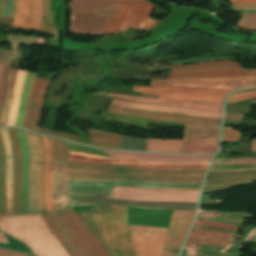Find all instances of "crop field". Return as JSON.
I'll use <instances>...</instances> for the list:
<instances>
[{"label": "crop field", "mask_w": 256, "mask_h": 256, "mask_svg": "<svg viewBox=\"0 0 256 256\" xmlns=\"http://www.w3.org/2000/svg\"><path fill=\"white\" fill-rule=\"evenodd\" d=\"M120 0H74L70 32L103 34ZM154 6L143 0H121L104 34L119 33L127 26L151 29L158 22L148 18Z\"/></svg>", "instance_id": "8a807250"}, {"label": "crop field", "mask_w": 256, "mask_h": 256, "mask_svg": "<svg viewBox=\"0 0 256 256\" xmlns=\"http://www.w3.org/2000/svg\"><path fill=\"white\" fill-rule=\"evenodd\" d=\"M0 229L24 241L39 256H69L40 214L1 216Z\"/></svg>", "instance_id": "ac0d7876"}, {"label": "crop field", "mask_w": 256, "mask_h": 256, "mask_svg": "<svg viewBox=\"0 0 256 256\" xmlns=\"http://www.w3.org/2000/svg\"><path fill=\"white\" fill-rule=\"evenodd\" d=\"M109 254L134 256L127 223L128 207L88 206Z\"/></svg>", "instance_id": "34b2d1b8"}, {"label": "crop field", "mask_w": 256, "mask_h": 256, "mask_svg": "<svg viewBox=\"0 0 256 256\" xmlns=\"http://www.w3.org/2000/svg\"><path fill=\"white\" fill-rule=\"evenodd\" d=\"M49 0H16L12 28H22L49 32L51 12Z\"/></svg>", "instance_id": "412701ff"}, {"label": "crop field", "mask_w": 256, "mask_h": 256, "mask_svg": "<svg viewBox=\"0 0 256 256\" xmlns=\"http://www.w3.org/2000/svg\"><path fill=\"white\" fill-rule=\"evenodd\" d=\"M111 198L142 201H182L196 203L198 191L142 189L134 187H114Z\"/></svg>", "instance_id": "f4fd0767"}, {"label": "crop field", "mask_w": 256, "mask_h": 256, "mask_svg": "<svg viewBox=\"0 0 256 256\" xmlns=\"http://www.w3.org/2000/svg\"><path fill=\"white\" fill-rule=\"evenodd\" d=\"M112 194H68L70 207L93 204H115L149 209H196L197 204L181 202H141L109 199Z\"/></svg>", "instance_id": "dd49c442"}, {"label": "crop field", "mask_w": 256, "mask_h": 256, "mask_svg": "<svg viewBox=\"0 0 256 256\" xmlns=\"http://www.w3.org/2000/svg\"><path fill=\"white\" fill-rule=\"evenodd\" d=\"M133 90L155 94L160 98L222 102L233 90L190 87H133Z\"/></svg>", "instance_id": "e52e79f7"}, {"label": "crop field", "mask_w": 256, "mask_h": 256, "mask_svg": "<svg viewBox=\"0 0 256 256\" xmlns=\"http://www.w3.org/2000/svg\"><path fill=\"white\" fill-rule=\"evenodd\" d=\"M56 213L88 256H109L104 246L81 222L73 208L57 210Z\"/></svg>", "instance_id": "d8731c3e"}, {"label": "crop field", "mask_w": 256, "mask_h": 256, "mask_svg": "<svg viewBox=\"0 0 256 256\" xmlns=\"http://www.w3.org/2000/svg\"><path fill=\"white\" fill-rule=\"evenodd\" d=\"M135 256H161L168 229L129 225Z\"/></svg>", "instance_id": "5a996713"}, {"label": "crop field", "mask_w": 256, "mask_h": 256, "mask_svg": "<svg viewBox=\"0 0 256 256\" xmlns=\"http://www.w3.org/2000/svg\"><path fill=\"white\" fill-rule=\"evenodd\" d=\"M220 127L186 124L183 140L218 139ZM218 140L183 141L181 153H212Z\"/></svg>", "instance_id": "3316defc"}, {"label": "crop field", "mask_w": 256, "mask_h": 256, "mask_svg": "<svg viewBox=\"0 0 256 256\" xmlns=\"http://www.w3.org/2000/svg\"><path fill=\"white\" fill-rule=\"evenodd\" d=\"M205 170H161L135 168L113 165H92L67 162V172H98V173H144L174 176H203Z\"/></svg>", "instance_id": "28ad6ade"}, {"label": "crop field", "mask_w": 256, "mask_h": 256, "mask_svg": "<svg viewBox=\"0 0 256 256\" xmlns=\"http://www.w3.org/2000/svg\"><path fill=\"white\" fill-rule=\"evenodd\" d=\"M256 85L254 78H176L151 80V86H191L209 88L240 89Z\"/></svg>", "instance_id": "d1516ede"}, {"label": "crop field", "mask_w": 256, "mask_h": 256, "mask_svg": "<svg viewBox=\"0 0 256 256\" xmlns=\"http://www.w3.org/2000/svg\"><path fill=\"white\" fill-rule=\"evenodd\" d=\"M203 177H167L140 174H79L67 173V180L109 181L127 180L157 183H201Z\"/></svg>", "instance_id": "22f410ed"}, {"label": "crop field", "mask_w": 256, "mask_h": 256, "mask_svg": "<svg viewBox=\"0 0 256 256\" xmlns=\"http://www.w3.org/2000/svg\"><path fill=\"white\" fill-rule=\"evenodd\" d=\"M68 161L93 163V164H114L136 167H151L161 169H205L207 164H188V163H158V162H142L124 159H112L104 157H96L86 154H77L69 152Z\"/></svg>", "instance_id": "cbeb9de0"}, {"label": "crop field", "mask_w": 256, "mask_h": 256, "mask_svg": "<svg viewBox=\"0 0 256 256\" xmlns=\"http://www.w3.org/2000/svg\"><path fill=\"white\" fill-rule=\"evenodd\" d=\"M196 211H173L163 256H178L182 240Z\"/></svg>", "instance_id": "5142ce71"}, {"label": "crop field", "mask_w": 256, "mask_h": 256, "mask_svg": "<svg viewBox=\"0 0 256 256\" xmlns=\"http://www.w3.org/2000/svg\"><path fill=\"white\" fill-rule=\"evenodd\" d=\"M49 82L50 80H47V79H41L37 77L34 79L23 126L38 125L43 100H44Z\"/></svg>", "instance_id": "d9b57169"}, {"label": "crop field", "mask_w": 256, "mask_h": 256, "mask_svg": "<svg viewBox=\"0 0 256 256\" xmlns=\"http://www.w3.org/2000/svg\"><path fill=\"white\" fill-rule=\"evenodd\" d=\"M102 151L116 158L158 161V162L208 163L211 158V155L163 156V155L138 153V152L105 151V150H102Z\"/></svg>", "instance_id": "733c2abd"}, {"label": "crop field", "mask_w": 256, "mask_h": 256, "mask_svg": "<svg viewBox=\"0 0 256 256\" xmlns=\"http://www.w3.org/2000/svg\"><path fill=\"white\" fill-rule=\"evenodd\" d=\"M108 110L110 113L118 115H129L134 117L146 118V119H155V120H165V121H178V122H190V123H199V124H214L218 125L221 120L214 119H205V118H196V117H187V116H178L154 112H144L136 111L125 108H120L116 106L109 105Z\"/></svg>", "instance_id": "4a817a6b"}, {"label": "crop field", "mask_w": 256, "mask_h": 256, "mask_svg": "<svg viewBox=\"0 0 256 256\" xmlns=\"http://www.w3.org/2000/svg\"><path fill=\"white\" fill-rule=\"evenodd\" d=\"M107 96L139 102V103H145V104L222 111V103H216V102H194V101H182V100L151 99V98H142V97H136V96L119 95V94H107Z\"/></svg>", "instance_id": "bc2a9ffb"}, {"label": "crop field", "mask_w": 256, "mask_h": 256, "mask_svg": "<svg viewBox=\"0 0 256 256\" xmlns=\"http://www.w3.org/2000/svg\"><path fill=\"white\" fill-rule=\"evenodd\" d=\"M51 193L54 210L69 207L66 189V162L52 163Z\"/></svg>", "instance_id": "214f88e0"}, {"label": "crop field", "mask_w": 256, "mask_h": 256, "mask_svg": "<svg viewBox=\"0 0 256 256\" xmlns=\"http://www.w3.org/2000/svg\"><path fill=\"white\" fill-rule=\"evenodd\" d=\"M111 104L132 108V109L145 110V111L163 112V113L187 115V116L210 117V118H218V119H220L221 113H222V112H215V111L142 105V104H135V103L125 102V101H120L115 99L112 100Z\"/></svg>", "instance_id": "92a150f3"}, {"label": "crop field", "mask_w": 256, "mask_h": 256, "mask_svg": "<svg viewBox=\"0 0 256 256\" xmlns=\"http://www.w3.org/2000/svg\"><path fill=\"white\" fill-rule=\"evenodd\" d=\"M1 135L5 147L6 155V186H13V152L12 144L8 129H1ZM7 193V212H1V215L14 214V203H13V187H6Z\"/></svg>", "instance_id": "dafd665d"}, {"label": "crop field", "mask_w": 256, "mask_h": 256, "mask_svg": "<svg viewBox=\"0 0 256 256\" xmlns=\"http://www.w3.org/2000/svg\"><path fill=\"white\" fill-rule=\"evenodd\" d=\"M14 151V192H15V215L23 214L21 201V157L15 128H8Z\"/></svg>", "instance_id": "00972430"}, {"label": "crop field", "mask_w": 256, "mask_h": 256, "mask_svg": "<svg viewBox=\"0 0 256 256\" xmlns=\"http://www.w3.org/2000/svg\"><path fill=\"white\" fill-rule=\"evenodd\" d=\"M231 236L232 234L218 231L192 229L186 242L211 244L218 247H225L228 245Z\"/></svg>", "instance_id": "a9b5d70f"}, {"label": "crop field", "mask_w": 256, "mask_h": 256, "mask_svg": "<svg viewBox=\"0 0 256 256\" xmlns=\"http://www.w3.org/2000/svg\"><path fill=\"white\" fill-rule=\"evenodd\" d=\"M25 136L29 148V200L31 213H38L36 203V148L32 139V135L26 131Z\"/></svg>", "instance_id": "4177f3b9"}, {"label": "crop field", "mask_w": 256, "mask_h": 256, "mask_svg": "<svg viewBox=\"0 0 256 256\" xmlns=\"http://www.w3.org/2000/svg\"><path fill=\"white\" fill-rule=\"evenodd\" d=\"M17 135L21 147L22 156V201H23V211L24 214L30 213L29 201H28V148L24 136V132L21 129H17Z\"/></svg>", "instance_id": "730fd06b"}, {"label": "crop field", "mask_w": 256, "mask_h": 256, "mask_svg": "<svg viewBox=\"0 0 256 256\" xmlns=\"http://www.w3.org/2000/svg\"><path fill=\"white\" fill-rule=\"evenodd\" d=\"M37 148V203L39 213L46 212L44 204V148L39 136L32 134Z\"/></svg>", "instance_id": "eef30255"}, {"label": "crop field", "mask_w": 256, "mask_h": 256, "mask_svg": "<svg viewBox=\"0 0 256 256\" xmlns=\"http://www.w3.org/2000/svg\"><path fill=\"white\" fill-rule=\"evenodd\" d=\"M256 71L243 70H207L198 72L169 73L168 78L174 77H253Z\"/></svg>", "instance_id": "ae1a2a85"}, {"label": "crop field", "mask_w": 256, "mask_h": 256, "mask_svg": "<svg viewBox=\"0 0 256 256\" xmlns=\"http://www.w3.org/2000/svg\"><path fill=\"white\" fill-rule=\"evenodd\" d=\"M45 148V204L46 210L52 211L51 194H50V177H51V147L48 137L41 136Z\"/></svg>", "instance_id": "d3111659"}, {"label": "crop field", "mask_w": 256, "mask_h": 256, "mask_svg": "<svg viewBox=\"0 0 256 256\" xmlns=\"http://www.w3.org/2000/svg\"><path fill=\"white\" fill-rule=\"evenodd\" d=\"M181 140L147 139L146 151L180 153Z\"/></svg>", "instance_id": "750c4746"}, {"label": "crop field", "mask_w": 256, "mask_h": 256, "mask_svg": "<svg viewBox=\"0 0 256 256\" xmlns=\"http://www.w3.org/2000/svg\"><path fill=\"white\" fill-rule=\"evenodd\" d=\"M172 71L200 70V69H218V68H242L238 63L233 61L225 62H204L191 65H180L170 67Z\"/></svg>", "instance_id": "bd1437ed"}, {"label": "crop field", "mask_w": 256, "mask_h": 256, "mask_svg": "<svg viewBox=\"0 0 256 256\" xmlns=\"http://www.w3.org/2000/svg\"><path fill=\"white\" fill-rule=\"evenodd\" d=\"M16 74H17L16 70L10 69L7 86H6V91H5L4 104H3V107L1 109V114H0V127L5 126L7 123V118H8V113H9V109H10Z\"/></svg>", "instance_id": "1d83c4d3"}, {"label": "crop field", "mask_w": 256, "mask_h": 256, "mask_svg": "<svg viewBox=\"0 0 256 256\" xmlns=\"http://www.w3.org/2000/svg\"><path fill=\"white\" fill-rule=\"evenodd\" d=\"M34 77H35L34 73L27 72L26 78L24 80L21 98H20V102H19V107H18V111H17L16 123H15V125L20 126V127L22 125L25 109H26V106L28 103L29 92H30L31 84H32Z\"/></svg>", "instance_id": "120bbe31"}, {"label": "crop field", "mask_w": 256, "mask_h": 256, "mask_svg": "<svg viewBox=\"0 0 256 256\" xmlns=\"http://www.w3.org/2000/svg\"><path fill=\"white\" fill-rule=\"evenodd\" d=\"M25 74H26V72H24V71H20V70L18 71L7 125H14L16 111H17V107H18V102H19L21 88H22Z\"/></svg>", "instance_id": "d32e631a"}, {"label": "crop field", "mask_w": 256, "mask_h": 256, "mask_svg": "<svg viewBox=\"0 0 256 256\" xmlns=\"http://www.w3.org/2000/svg\"><path fill=\"white\" fill-rule=\"evenodd\" d=\"M87 133H88L89 144H92V145H94L95 142L119 145L122 137L116 134H111V133H106L101 131H93V130H87Z\"/></svg>", "instance_id": "5866460e"}, {"label": "crop field", "mask_w": 256, "mask_h": 256, "mask_svg": "<svg viewBox=\"0 0 256 256\" xmlns=\"http://www.w3.org/2000/svg\"><path fill=\"white\" fill-rule=\"evenodd\" d=\"M41 215H42L46 225L48 226V228L52 231V233L56 236V238L64 246V248L67 250V252L70 254V256H78L76 251L71 247V245L68 243V241L65 239V237L62 235V233L59 231V229L56 227V225L52 221V219L50 217V213H44Z\"/></svg>", "instance_id": "028f5c9d"}, {"label": "crop field", "mask_w": 256, "mask_h": 256, "mask_svg": "<svg viewBox=\"0 0 256 256\" xmlns=\"http://www.w3.org/2000/svg\"><path fill=\"white\" fill-rule=\"evenodd\" d=\"M6 211L5 202V157L3 142L0 136V212Z\"/></svg>", "instance_id": "e1f06a70"}, {"label": "crop field", "mask_w": 256, "mask_h": 256, "mask_svg": "<svg viewBox=\"0 0 256 256\" xmlns=\"http://www.w3.org/2000/svg\"><path fill=\"white\" fill-rule=\"evenodd\" d=\"M52 147V162L67 161V142L50 138Z\"/></svg>", "instance_id": "0bd39190"}, {"label": "crop field", "mask_w": 256, "mask_h": 256, "mask_svg": "<svg viewBox=\"0 0 256 256\" xmlns=\"http://www.w3.org/2000/svg\"><path fill=\"white\" fill-rule=\"evenodd\" d=\"M51 216L53 218V221L58 226L60 231L63 233V235L66 237V239L69 241V243L72 245V247L77 251L79 256H86L80 245L77 243V241L74 239V237L71 235V233L67 230V228L62 224V222L57 217L55 211L50 212Z\"/></svg>", "instance_id": "b80d0937"}, {"label": "crop field", "mask_w": 256, "mask_h": 256, "mask_svg": "<svg viewBox=\"0 0 256 256\" xmlns=\"http://www.w3.org/2000/svg\"><path fill=\"white\" fill-rule=\"evenodd\" d=\"M239 181L256 182V176H234L230 178L208 179L206 180L205 187L220 186V185H224L232 182H239Z\"/></svg>", "instance_id": "c035e120"}, {"label": "crop field", "mask_w": 256, "mask_h": 256, "mask_svg": "<svg viewBox=\"0 0 256 256\" xmlns=\"http://www.w3.org/2000/svg\"><path fill=\"white\" fill-rule=\"evenodd\" d=\"M237 27L256 31V14L242 13V18L237 24Z\"/></svg>", "instance_id": "c21b1889"}, {"label": "crop field", "mask_w": 256, "mask_h": 256, "mask_svg": "<svg viewBox=\"0 0 256 256\" xmlns=\"http://www.w3.org/2000/svg\"><path fill=\"white\" fill-rule=\"evenodd\" d=\"M228 159H215L214 163L224 162ZM230 164H256V157L253 158H232L224 163L212 164L216 165H230Z\"/></svg>", "instance_id": "03da06ac"}, {"label": "crop field", "mask_w": 256, "mask_h": 256, "mask_svg": "<svg viewBox=\"0 0 256 256\" xmlns=\"http://www.w3.org/2000/svg\"><path fill=\"white\" fill-rule=\"evenodd\" d=\"M27 129H30V130H33L36 132H40V133H45V134L61 137V138H65V139H69V140H73L78 143H82L80 137H77V136H73V135H69V134H65V133H61V132L50 131V130L41 129V128H27Z\"/></svg>", "instance_id": "b54c1fbb"}, {"label": "crop field", "mask_w": 256, "mask_h": 256, "mask_svg": "<svg viewBox=\"0 0 256 256\" xmlns=\"http://www.w3.org/2000/svg\"><path fill=\"white\" fill-rule=\"evenodd\" d=\"M10 62H11V60L5 61L3 71H2L1 82H0V109L3 104L4 91H5V85H6V81H7Z\"/></svg>", "instance_id": "5d738f31"}, {"label": "crop field", "mask_w": 256, "mask_h": 256, "mask_svg": "<svg viewBox=\"0 0 256 256\" xmlns=\"http://www.w3.org/2000/svg\"><path fill=\"white\" fill-rule=\"evenodd\" d=\"M15 0H2V11H1V0H0V11L1 17H13Z\"/></svg>", "instance_id": "d23c7cc5"}, {"label": "crop field", "mask_w": 256, "mask_h": 256, "mask_svg": "<svg viewBox=\"0 0 256 256\" xmlns=\"http://www.w3.org/2000/svg\"><path fill=\"white\" fill-rule=\"evenodd\" d=\"M256 169V165L211 167L209 172Z\"/></svg>", "instance_id": "425ffa30"}, {"label": "crop field", "mask_w": 256, "mask_h": 256, "mask_svg": "<svg viewBox=\"0 0 256 256\" xmlns=\"http://www.w3.org/2000/svg\"><path fill=\"white\" fill-rule=\"evenodd\" d=\"M251 98H256V92L231 95V96H229L227 101L230 103H234V102L248 100Z\"/></svg>", "instance_id": "25e5ab78"}, {"label": "crop field", "mask_w": 256, "mask_h": 256, "mask_svg": "<svg viewBox=\"0 0 256 256\" xmlns=\"http://www.w3.org/2000/svg\"><path fill=\"white\" fill-rule=\"evenodd\" d=\"M239 136V132L236 130H232V128H224L223 131V141H237Z\"/></svg>", "instance_id": "73cf0c24"}, {"label": "crop field", "mask_w": 256, "mask_h": 256, "mask_svg": "<svg viewBox=\"0 0 256 256\" xmlns=\"http://www.w3.org/2000/svg\"><path fill=\"white\" fill-rule=\"evenodd\" d=\"M195 224L206 225V226H216V227L225 228V229H234V230L237 229L236 226L224 225V224H219V223H215V222H200V221H196Z\"/></svg>", "instance_id": "89e229c0"}, {"label": "crop field", "mask_w": 256, "mask_h": 256, "mask_svg": "<svg viewBox=\"0 0 256 256\" xmlns=\"http://www.w3.org/2000/svg\"><path fill=\"white\" fill-rule=\"evenodd\" d=\"M243 114L225 113L224 119L242 121Z\"/></svg>", "instance_id": "1f2cbd36"}, {"label": "crop field", "mask_w": 256, "mask_h": 256, "mask_svg": "<svg viewBox=\"0 0 256 256\" xmlns=\"http://www.w3.org/2000/svg\"><path fill=\"white\" fill-rule=\"evenodd\" d=\"M22 52L13 51V55L0 54V60L7 58H21Z\"/></svg>", "instance_id": "dbb93151"}, {"label": "crop field", "mask_w": 256, "mask_h": 256, "mask_svg": "<svg viewBox=\"0 0 256 256\" xmlns=\"http://www.w3.org/2000/svg\"><path fill=\"white\" fill-rule=\"evenodd\" d=\"M0 256H28V255L0 250Z\"/></svg>", "instance_id": "0fb4a251"}, {"label": "crop field", "mask_w": 256, "mask_h": 256, "mask_svg": "<svg viewBox=\"0 0 256 256\" xmlns=\"http://www.w3.org/2000/svg\"><path fill=\"white\" fill-rule=\"evenodd\" d=\"M231 3H253L256 4V0H229Z\"/></svg>", "instance_id": "1d79db26"}, {"label": "crop field", "mask_w": 256, "mask_h": 256, "mask_svg": "<svg viewBox=\"0 0 256 256\" xmlns=\"http://www.w3.org/2000/svg\"><path fill=\"white\" fill-rule=\"evenodd\" d=\"M250 151H256V139L252 140Z\"/></svg>", "instance_id": "9d1cf04e"}, {"label": "crop field", "mask_w": 256, "mask_h": 256, "mask_svg": "<svg viewBox=\"0 0 256 256\" xmlns=\"http://www.w3.org/2000/svg\"><path fill=\"white\" fill-rule=\"evenodd\" d=\"M0 242L9 244L5 236L2 234V232H0Z\"/></svg>", "instance_id": "447ae74e"}, {"label": "crop field", "mask_w": 256, "mask_h": 256, "mask_svg": "<svg viewBox=\"0 0 256 256\" xmlns=\"http://www.w3.org/2000/svg\"><path fill=\"white\" fill-rule=\"evenodd\" d=\"M98 147H104V148H114V149H118L119 146H102V145H95Z\"/></svg>", "instance_id": "0765c3eb"}, {"label": "crop field", "mask_w": 256, "mask_h": 256, "mask_svg": "<svg viewBox=\"0 0 256 256\" xmlns=\"http://www.w3.org/2000/svg\"><path fill=\"white\" fill-rule=\"evenodd\" d=\"M232 5H237V6H256L253 4H232Z\"/></svg>", "instance_id": "db79e9e6"}, {"label": "crop field", "mask_w": 256, "mask_h": 256, "mask_svg": "<svg viewBox=\"0 0 256 256\" xmlns=\"http://www.w3.org/2000/svg\"><path fill=\"white\" fill-rule=\"evenodd\" d=\"M3 63H4V61L0 62V76H1V71H2V67H3Z\"/></svg>", "instance_id": "7b73153f"}, {"label": "crop field", "mask_w": 256, "mask_h": 256, "mask_svg": "<svg viewBox=\"0 0 256 256\" xmlns=\"http://www.w3.org/2000/svg\"><path fill=\"white\" fill-rule=\"evenodd\" d=\"M252 90H256V88H252V89H248V90H244V91H252ZM244 91H240V92H244Z\"/></svg>", "instance_id": "78b8030e"}, {"label": "crop field", "mask_w": 256, "mask_h": 256, "mask_svg": "<svg viewBox=\"0 0 256 256\" xmlns=\"http://www.w3.org/2000/svg\"><path fill=\"white\" fill-rule=\"evenodd\" d=\"M249 103H250V104H256V100L250 101Z\"/></svg>", "instance_id": "0f1d7ab4"}]
</instances>
